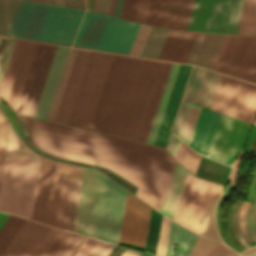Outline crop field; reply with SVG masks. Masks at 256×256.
Listing matches in <instances>:
<instances>
[{
    "label": "crop field",
    "mask_w": 256,
    "mask_h": 256,
    "mask_svg": "<svg viewBox=\"0 0 256 256\" xmlns=\"http://www.w3.org/2000/svg\"><path fill=\"white\" fill-rule=\"evenodd\" d=\"M179 65L180 64H176V63L172 64V67H171V70H170V73H169V76H168V79H167V82H166V85H165V88H164V91H163V94H162V97L160 100V103L158 105L151 129H150L147 141H146L149 144L154 143V140H155V137H156V134H157V131H158V128H159V125H160L170 92H171V89H172V86H173V83H174V80H175V77H176V74H177V71L179 68Z\"/></svg>",
    "instance_id": "obj_31"
},
{
    "label": "crop field",
    "mask_w": 256,
    "mask_h": 256,
    "mask_svg": "<svg viewBox=\"0 0 256 256\" xmlns=\"http://www.w3.org/2000/svg\"><path fill=\"white\" fill-rule=\"evenodd\" d=\"M82 170H83V168H81V167L76 166V168H75L71 198H70L66 227H65V229L71 230V231L73 229V223H74L77 199H78V194H79Z\"/></svg>",
    "instance_id": "obj_42"
},
{
    "label": "crop field",
    "mask_w": 256,
    "mask_h": 256,
    "mask_svg": "<svg viewBox=\"0 0 256 256\" xmlns=\"http://www.w3.org/2000/svg\"><path fill=\"white\" fill-rule=\"evenodd\" d=\"M210 109L251 122L256 110V85L222 75Z\"/></svg>",
    "instance_id": "obj_8"
},
{
    "label": "crop field",
    "mask_w": 256,
    "mask_h": 256,
    "mask_svg": "<svg viewBox=\"0 0 256 256\" xmlns=\"http://www.w3.org/2000/svg\"><path fill=\"white\" fill-rule=\"evenodd\" d=\"M35 43L15 41L3 79L0 96L15 110L35 48ZM3 99V100H4Z\"/></svg>",
    "instance_id": "obj_17"
},
{
    "label": "crop field",
    "mask_w": 256,
    "mask_h": 256,
    "mask_svg": "<svg viewBox=\"0 0 256 256\" xmlns=\"http://www.w3.org/2000/svg\"><path fill=\"white\" fill-rule=\"evenodd\" d=\"M201 179H196V181H195V184H194V186H193V189H192V191H191V194H190V196H189V199H188V201H187V204H186V206H185V209H184V211H183V214H182V216H181V219H180V223L181 224H184V222H185V219H186V217H187V215H188V212H189V210H190V207H191V205H192V202H193V200H194V198H195V195H196V193H197V190H198V188H199V186H200V183H201Z\"/></svg>",
    "instance_id": "obj_51"
},
{
    "label": "crop field",
    "mask_w": 256,
    "mask_h": 256,
    "mask_svg": "<svg viewBox=\"0 0 256 256\" xmlns=\"http://www.w3.org/2000/svg\"><path fill=\"white\" fill-rule=\"evenodd\" d=\"M256 154V153H255Z\"/></svg>",
    "instance_id": "obj_79"
},
{
    "label": "crop field",
    "mask_w": 256,
    "mask_h": 256,
    "mask_svg": "<svg viewBox=\"0 0 256 256\" xmlns=\"http://www.w3.org/2000/svg\"><path fill=\"white\" fill-rule=\"evenodd\" d=\"M249 126L248 123L220 114L207 156L231 166L243 146Z\"/></svg>",
    "instance_id": "obj_15"
},
{
    "label": "crop field",
    "mask_w": 256,
    "mask_h": 256,
    "mask_svg": "<svg viewBox=\"0 0 256 256\" xmlns=\"http://www.w3.org/2000/svg\"><path fill=\"white\" fill-rule=\"evenodd\" d=\"M97 240L87 238L80 249L74 256H88L94 246L97 244Z\"/></svg>",
    "instance_id": "obj_54"
},
{
    "label": "crop field",
    "mask_w": 256,
    "mask_h": 256,
    "mask_svg": "<svg viewBox=\"0 0 256 256\" xmlns=\"http://www.w3.org/2000/svg\"><path fill=\"white\" fill-rule=\"evenodd\" d=\"M32 1H38V2H44V3H46V0H32Z\"/></svg>",
    "instance_id": "obj_73"
},
{
    "label": "crop field",
    "mask_w": 256,
    "mask_h": 256,
    "mask_svg": "<svg viewBox=\"0 0 256 256\" xmlns=\"http://www.w3.org/2000/svg\"><path fill=\"white\" fill-rule=\"evenodd\" d=\"M151 26L141 24L128 54L139 56Z\"/></svg>",
    "instance_id": "obj_46"
},
{
    "label": "crop field",
    "mask_w": 256,
    "mask_h": 256,
    "mask_svg": "<svg viewBox=\"0 0 256 256\" xmlns=\"http://www.w3.org/2000/svg\"><path fill=\"white\" fill-rule=\"evenodd\" d=\"M76 50L77 49H73V48L69 49L67 59H66L61 77H60V81H59L55 96L53 98L50 110H49L47 118H46L48 120H52V121L54 120V117H55V114H56V111H57V108H58V105H59L64 87H65V83H66V80H67V77H68V74H69V71H70V68H71Z\"/></svg>",
    "instance_id": "obj_37"
},
{
    "label": "crop field",
    "mask_w": 256,
    "mask_h": 256,
    "mask_svg": "<svg viewBox=\"0 0 256 256\" xmlns=\"http://www.w3.org/2000/svg\"><path fill=\"white\" fill-rule=\"evenodd\" d=\"M230 249L219 242L207 256H224Z\"/></svg>",
    "instance_id": "obj_56"
},
{
    "label": "crop field",
    "mask_w": 256,
    "mask_h": 256,
    "mask_svg": "<svg viewBox=\"0 0 256 256\" xmlns=\"http://www.w3.org/2000/svg\"><path fill=\"white\" fill-rule=\"evenodd\" d=\"M61 231L27 220L0 256H43Z\"/></svg>",
    "instance_id": "obj_18"
},
{
    "label": "crop field",
    "mask_w": 256,
    "mask_h": 256,
    "mask_svg": "<svg viewBox=\"0 0 256 256\" xmlns=\"http://www.w3.org/2000/svg\"><path fill=\"white\" fill-rule=\"evenodd\" d=\"M149 0H139L134 21L144 23Z\"/></svg>",
    "instance_id": "obj_53"
},
{
    "label": "crop field",
    "mask_w": 256,
    "mask_h": 256,
    "mask_svg": "<svg viewBox=\"0 0 256 256\" xmlns=\"http://www.w3.org/2000/svg\"><path fill=\"white\" fill-rule=\"evenodd\" d=\"M154 60L136 58L111 133L128 137Z\"/></svg>",
    "instance_id": "obj_11"
},
{
    "label": "crop field",
    "mask_w": 256,
    "mask_h": 256,
    "mask_svg": "<svg viewBox=\"0 0 256 256\" xmlns=\"http://www.w3.org/2000/svg\"><path fill=\"white\" fill-rule=\"evenodd\" d=\"M117 0H112L109 15L113 16Z\"/></svg>",
    "instance_id": "obj_68"
},
{
    "label": "crop field",
    "mask_w": 256,
    "mask_h": 256,
    "mask_svg": "<svg viewBox=\"0 0 256 256\" xmlns=\"http://www.w3.org/2000/svg\"><path fill=\"white\" fill-rule=\"evenodd\" d=\"M127 191L105 178L96 239L118 243Z\"/></svg>",
    "instance_id": "obj_14"
},
{
    "label": "crop field",
    "mask_w": 256,
    "mask_h": 256,
    "mask_svg": "<svg viewBox=\"0 0 256 256\" xmlns=\"http://www.w3.org/2000/svg\"><path fill=\"white\" fill-rule=\"evenodd\" d=\"M204 72H205V69L194 66L189 83L187 85V88L183 97L184 100L194 103Z\"/></svg>",
    "instance_id": "obj_44"
},
{
    "label": "crop field",
    "mask_w": 256,
    "mask_h": 256,
    "mask_svg": "<svg viewBox=\"0 0 256 256\" xmlns=\"http://www.w3.org/2000/svg\"><path fill=\"white\" fill-rule=\"evenodd\" d=\"M218 241L198 236L189 256H205Z\"/></svg>",
    "instance_id": "obj_45"
},
{
    "label": "crop field",
    "mask_w": 256,
    "mask_h": 256,
    "mask_svg": "<svg viewBox=\"0 0 256 256\" xmlns=\"http://www.w3.org/2000/svg\"><path fill=\"white\" fill-rule=\"evenodd\" d=\"M113 55L93 52L69 125L89 128Z\"/></svg>",
    "instance_id": "obj_7"
},
{
    "label": "crop field",
    "mask_w": 256,
    "mask_h": 256,
    "mask_svg": "<svg viewBox=\"0 0 256 256\" xmlns=\"http://www.w3.org/2000/svg\"><path fill=\"white\" fill-rule=\"evenodd\" d=\"M191 66L180 65L156 140L154 144L164 147L177 106L179 104Z\"/></svg>",
    "instance_id": "obj_23"
},
{
    "label": "crop field",
    "mask_w": 256,
    "mask_h": 256,
    "mask_svg": "<svg viewBox=\"0 0 256 256\" xmlns=\"http://www.w3.org/2000/svg\"><path fill=\"white\" fill-rule=\"evenodd\" d=\"M40 159L9 125L0 177V210L30 219Z\"/></svg>",
    "instance_id": "obj_2"
},
{
    "label": "crop field",
    "mask_w": 256,
    "mask_h": 256,
    "mask_svg": "<svg viewBox=\"0 0 256 256\" xmlns=\"http://www.w3.org/2000/svg\"><path fill=\"white\" fill-rule=\"evenodd\" d=\"M235 252L231 249L225 256H232Z\"/></svg>",
    "instance_id": "obj_70"
},
{
    "label": "crop field",
    "mask_w": 256,
    "mask_h": 256,
    "mask_svg": "<svg viewBox=\"0 0 256 256\" xmlns=\"http://www.w3.org/2000/svg\"><path fill=\"white\" fill-rule=\"evenodd\" d=\"M200 106L193 104H187L179 131L177 136L180 137L184 142L189 144L199 111Z\"/></svg>",
    "instance_id": "obj_38"
},
{
    "label": "crop field",
    "mask_w": 256,
    "mask_h": 256,
    "mask_svg": "<svg viewBox=\"0 0 256 256\" xmlns=\"http://www.w3.org/2000/svg\"><path fill=\"white\" fill-rule=\"evenodd\" d=\"M197 33H198V32H194V33H193V35H192V37H191V39H190V41H189V44H188V46H187V48H186V50H185V53H184V55H183V57H182V59H181L180 62H183V63L186 62L187 57H188L189 52H190V49H191V47H192V44H193V42H194V39H195Z\"/></svg>",
    "instance_id": "obj_61"
},
{
    "label": "crop field",
    "mask_w": 256,
    "mask_h": 256,
    "mask_svg": "<svg viewBox=\"0 0 256 256\" xmlns=\"http://www.w3.org/2000/svg\"><path fill=\"white\" fill-rule=\"evenodd\" d=\"M64 6L85 10L84 0H63Z\"/></svg>",
    "instance_id": "obj_59"
},
{
    "label": "crop field",
    "mask_w": 256,
    "mask_h": 256,
    "mask_svg": "<svg viewBox=\"0 0 256 256\" xmlns=\"http://www.w3.org/2000/svg\"><path fill=\"white\" fill-rule=\"evenodd\" d=\"M218 113L201 108L189 146L195 151L205 155L217 118Z\"/></svg>",
    "instance_id": "obj_24"
},
{
    "label": "crop field",
    "mask_w": 256,
    "mask_h": 256,
    "mask_svg": "<svg viewBox=\"0 0 256 256\" xmlns=\"http://www.w3.org/2000/svg\"><path fill=\"white\" fill-rule=\"evenodd\" d=\"M180 141H181L180 139H178L175 135L171 133L166 148L170 152V154L173 156V158H175Z\"/></svg>",
    "instance_id": "obj_55"
},
{
    "label": "crop field",
    "mask_w": 256,
    "mask_h": 256,
    "mask_svg": "<svg viewBox=\"0 0 256 256\" xmlns=\"http://www.w3.org/2000/svg\"><path fill=\"white\" fill-rule=\"evenodd\" d=\"M83 236L63 230L45 256H69Z\"/></svg>",
    "instance_id": "obj_33"
},
{
    "label": "crop field",
    "mask_w": 256,
    "mask_h": 256,
    "mask_svg": "<svg viewBox=\"0 0 256 256\" xmlns=\"http://www.w3.org/2000/svg\"><path fill=\"white\" fill-rule=\"evenodd\" d=\"M192 33L171 30L158 59L179 62Z\"/></svg>",
    "instance_id": "obj_27"
},
{
    "label": "crop field",
    "mask_w": 256,
    "mask_h": 256,
    "mask_svg": "<svg viewBox=\"0 0 256 256\" xmlns=\"http://www.w3.org/2000/svg\"><path fill=\"white\" fill-rule=\"evenodd\" d=\"M186 104L187 103L184 102V101L181 102V105H180V108H179V111H178V114H177V117H176L173 129H172V132L175 133V134H177V131H178V128H179V125H180V122H181V119H182V116H183Z\"/></svg>",
    "instance_id": "obj_58"
},
{
    "label": "crop field",
    "mask_w": 256,
    "mask_h": 256,
    "mask_svg": "<svg viewBox=\"0 0 256 256\" xmlns=\"http://www.w3.org/2000/svg\"><path fill=\"white\" fill-rule=\"evenodd\" d=\"M113 247V245L99 241L89 256H107Z\"/></svg>",
    "instance_id": "obj_52"
},
{
    "label": "crop field",
    "mask_w": 256,
    "mask_h": 256,
    "mask_svg": "<svg viewBox=\"0 0 256 256\" xmlns=\"http://www.w3.org/2000/svg\"><path fill=\"white\" fill-rule=\"evenodd\" d=\"M170 222H171V219H169L165 216L162 217L160 235H159L157 252H156V254L159 256H165Z\"/></svg>",
    "instance_id": "obj_47"
},
{
    "label": "crop field",
    "mask_w": 256,
    "mask_h": 256,
    "mask_svg": "<svg viewBox=\"0 0 256 256\" xmlns=\"http://www.w3.org/2000/svg\"><path fill=\"white\" fill-rule=\"evenodd\" d=\"M233 256H239V255L235 253Z\"/></svg>",
    "instance_id": "obj_75"
},
{
    "label": "crop field",
    "mask_w": 256,
    "mask_h": 256,
    "mask_svg": "<svg viewBox=\"0 0 256 256\" xmlns=\"http://www.w3.org/2000/svg\"><path fill=\"white\" fill-rule=\"evenodd\" d=\"M255 207H256V205H255Z\"/></svg>",
    "instance_id": "obj_78"
},
{
    "label": "crop field",
    "mask_w": 256,
    "mask_h": 256,
    "mask_svg": "<svg viewBox=\"0 0 256 256\" xmlns=\"http://www.w3.org/2000/svg\"><path fill=\"white\" fill-rule=\"evenodd\" d=\"M88 3V0H86V4Z\"/></svg>",
    "instance_id": "obj_76"
},
{
    "label": "crop field",
    "mask_w": 256,
    "mask_h": 256,
    "mask_svg": "<svg viewBox=\"0 0 256 256\" xmlns=\"http://www.w3.org/2000/svg\"><path fill=\"white\" fill-rule=\"evenodd\" d=\"M226 34L199 32L186 63L212 68Z\"/></svg>",
    "instance_id": "obj_21"
},
{
    "label": "crop field",
    "mask_w": 256,
    "mask_h": 256,
    "mask_svg": "<svg viewBox=\"0 0 256 256\" xmlns=\"http://www.w3.org/2000/svg\"><path fill=\"white\" fill-rule=\"evenodd\" d=\"M237 33L256 36V0H245Z\"/></svg>",
    "instance_id": "obj_36"
},
{
    "label": "crop field",
    "mask_w": 256,
    "mask_h": 256,
    "mask_svg": "<svg viewBox=\"0 0 256 256\" xmlns=\"http://www.w3.org/2000/svg\"><path fill=\"white\" fill-rule=\"evenodd\" d=\"M20 1L0 0V35H7Z\"/></svg>",
    "instance_id": "obj_39"
},
{
    "label": "crop field",
    "mask_w": 256,
    "mask_h": 256,
    "mask_svg": "<svg viewBox=\"0 0 256 256\" xmlns=\"http://www.w3.org/2000/svg\"><path fill=\"white\" fill-rule=\"evenodd\" d=\"M56 4L63 6V1L62 0H56Z\"/></svg>",
    "instance_id": "obj_71"
},
{
    "label": "crop field",
    "mask_w": 256,
    "mask_h": 256,
    "mask_svg": "<svg viewBox=\"0 0 256 256\" xmlns=\"http://www.w3.org/2000/svg\"><path fill=\"white\" fill-rule=\"evenodd\" d=\"M64 164L41 159L32 220L54 226Z\"/></svg>",
    "instance_id": "obj_9"
},
{
    "label": "crop field",
    "mask_w": 256,
    "mask_h": 256,
    "mask_svg": "<svg viewBox=\"0 0 256 256\" xmlns=\"http://www.w3.org/2000/svg\"><path fill=\"white\" fill-rule=\"evenodd\" d=\"M17 116L36 147L110 169L138 187L136 196L160 210L177 165L166 149Z\"/></svg>",
    "instance_id": "obj_1"
},
{
    "label": "crop field",
    "mask_w": 256,
    "mask_h": 256,
    "mask_svg": "<svg viewBox=\"0 0 256 256\" xmlns=\"http://www.w3.org/2000/svg\"><path fill=\"white\" fill-rule=\"evenodd\" d=\"M122 0H118L114 16L118 17Z\"/></svg>",
    "instance_id": "obj_69"
},
{
    "label": "crop field",
    "mask_w": 256,
    "mask_h": 256,
    "mask_svg": "<svg viewBox=\"0 0 256 256\" xmlns=\"http://www.w3.org/2000/svg\"><path fill=\"white\" fill-rule=\"evenodd\" d=\"M97 1L98 0L95 1V5H94V9H93L94 12H95V9H96Z\"/></svg>",
    "instance_id": "obj_74"
},
{
    "label": "crop field",
    "mask_w": 256,
    "mask_h": 256,
    "mask_svg": "<svg viewBox=\"0 0 256 256\" xmlns=\"http://www.w3.org/2000/svg\"><path fill=\"white\" fill-rule=\"evenodd\" d=\"M229 35H230V34H227L226 37H225V40H224V42H223V44H222V47H221V49H220V52H219V54H218V56H217V59H216V61H215V64H214V66H213V68H212L213 70L215 69V67H216V65H217V62H218V60H219V58H220V55H221V53H222V51H223V49H224V46H225V44H226V42H227V39H228Z\"/></svg>",
    "instance_id": "obj_66"
},
{
    "label": "crop field",
    "mask_w": 256,
    "mask_h": 256,
    "mask_svg": "<svg viewBox=\"0 0 256 256\" xmlns=\"http://www.w3.org/2000/svg\"><path fill=\"white\" fill-rule=\"evenodd\" d=\"M137 3L138 0H123L119 17L133 21Z\"/></svg>",
    "instance_id": "obj_48"
},
{
    "label": "crop field",
    "mask_w": 256,
    "mask_h": 256,
    "mask_svg": "<svg viewBox=\"0 0 256 256\" xmlns=\"http://www.w3.org/2000/svg\"><path fill=\"white\" fill-rule=\"evenodd\" d=\"M14 40H15V39H12V40H11V43H10V46H9V48H8V51H7V54H6V57H5L3 66H2V68H1V71H0V81H1V78H2V75H3V72H4V69H5V66H6V64H7V61H8V58H9V55H10V52H11V49H12Z\"/></svg>",
    "instance_id": "obj_62"
},
{
    "label": "crop field",
    "mask_w": 256,
    "mask_h": 256,
    "mask_svg": "<svg viewBox=\"0 0 256 256\" xmlns=\"http://www.w3.org/2000/svg\"><path fill=\"white\" fill-rule=\"evenodd\" d=\"M195 179H196V177L193 176L192 174H190L188 182L186 184V187L184 189L183 195L181 197L180 203L178 205V208H177L175 216H174V219H176V220H179V218H180V215H181L182 210H183V208L185 206V203L187 201V198L189 196V193L191 191V188H192V186L194 184Z\"/></svg>",
    "instance_id": "obj_49"
},
{
    "label": "crop field",
    "mask_w": 256,
    "mask_h": 256,
    "mask_svg": "<svg viewBox=\"0 0 256 256\" xmlns=\"http://www.w3.org/2000/svg\"><path fill=\"white\" fill-rule=\"evenodd\" d=\"M10 40L11 39L9 38L0 37V68L3 63Z\"/></svg>",
    "instance_id": "obj_57"
},
{
    "label": "crop field",
    "mask_w": 256,
    "mask_h": 256,
    "mask_svg": "<svg viewBox=\"0 0 256 256\" xmlns=\"http://www.w3.org/2000/svg\"><path fill=\"white\" fill-rule=\"evenodd\" d=\"M172 63L154 61L129 137L146 141Z\"/></svg>",
    "instance_id": "obj_10"
},
{
    "label": "crop field",
    "mask_w": 256,
    "mask_h": 256,
    "mask_svg": "<svg viewBox=\"0 0 256 256\" xmlns=\"http://www.w3.org/2000/svg\"><path fill=\"white\" fill-rule=\"evenodd\" d=\"M151 208L127 194L120 241L143 246Z\"/></svg>",
    "instance_id": "obj_20"
},
{
    "label": "crop field",
    "mask_w": 256,
    "mask_h": 256,
    "mask_svg": "<svg viewBox=\"0 0 256 256\" xmlns=\"http://www.w3.org/2000/svg\"><path fill=\"white\" fill-rule=\"evenodd\" d=\"M255 133H256V126L253 125V126H252V129H251V131H250L249 137H248V139H247V142H246L244 151H249L250 144H251V141H252V139H253Z\"/></svg>",
    "instance_id": "obj_63"
},
{
    "label": "crop field",
    "mask_w": 256,
    "mask_h": 256,
    "mask_svg": "<svg viewBox=\"0 0 256 256\" xmlns=\"http://www.w3.org/2000/svg\"><path fill=\"white\" fill-rule=\"evenodd\" d=\"M222 190V185L220 184H215V187L213 189L211 198L209 200L208 206L206 208L204 217L202 219V222L200 224V227L197 231L198 234L207 236L213 239L220 240L219 235L217 233L215 224H214V219H213V208L218 200ZM222 195V194H221ZM221 241V240H220Z\"/></svg>",
    "instance_id": "obj_32"
},
{
    "label": "crop field",
    "mask_w": 256,
    "mask_h": 256,
    "mask_svg": "<svg viewBox=\"0 0 256 256\" xmlns=\"http://www.w3.org/2000/svg\"><path fill=\"white\" fill-rule=\"evenodd\" d=\"M67 47H57L46 82L33 117L45 119L54 96L59 77L68 52Z\"/></svg>",
    "instance_id": "obj_22"
},
{
    "label": "crop field",
    "mask_w": 256,
    "mask_h": 256,
    "mask_svg": "<svg viewBox=\"0 0 256 256\" xmlns=\"http://www.w3.org/2000/svg\"><path fill=\"white\" fill-rule=\"evenodd\" d=\"M134 59L133 57L114 55L89 129L110 133Z\"/></svg>",
    "instance_id": "obj_5"
},
{
    "label": "crop field",
    "mask_w": 256,
    "mask_h": 256,
    "mask_svg": "<svg viewBox=\"0 0 256 256\" xmlns=\"http://www.w3.org/2000/svg\"><path fill=\"white\" fill-rule=\"evenodd\" d=\"M140 254L141 252L126 248L121 256H140Z\"/></svg>",
    "instance_id": "obj_65"
},
{
    "label": "crop field",
    "mask_w": 256,
    "mask_h": 256,
    "mask_svg": "<svg viewBox=\"0 0 256 256\" xmlns=\"http://www.w3.org/2000/svg\"><path fill=\"white\" fill-rule=\"evenodd\" d=\"M244 0H194L187 30L236 33Z\"/></svg>",
    "instance_id": "obj_6"
},
{
    "label": "crop field",
    "mask_w": 256,
    "mask_h": 256,
    "mask_svg": "<svg viewBox=\"0 0 256 256\" xmlns=\"http://www.w3.org/2000/svg\"><path fill=\"white\" fill-rule=\"evenodd\" d=\"M169 29L153 26L140 56L157 59Z\"/></svg>",
    "instance_id": "obj_35"
},
{
    "label": "crop field",
    "mask_w": 256,
    "mask_h": 256,
    "mask_svg": "<svg viewBox=\"0 0 256 256\" xmlns=\"http://www.w3.org/2000/svg\"><path fill=\"white\" fill-rule=\"evenodd\" d=\"M215 183L202 181L201 186L198 190L194 203L191 207L189 215L184 224L185 227H188L193 232L196 233L198 225L200 223L201 217L203 215L204 209L210 197L211 191Z\"/></svg>",
    "instance_id": "obj_28"
},
{
    "label": "crop field",
    "mask_w": 256,
    "mask_h": 256,
    "mask_svg": "<svg viewBox=\"0 0 256 256\" xmlns=\"http://www.w3.org/2000/svg\"><path fill=\"white\" fill-rule=\"evenodd\" d=\"M110 1L111 0H99L96 12L107 15Z\"/></svg>",
    "instance_id": "obj_60"
},
{
    "label": "crop field",
    "mask_w": 256,
    "mask_h": 256,
    "mask_svg": "<svg viewBox=\"0 0 256 256\" xmlns=\"http://www.w3.org/2000/svg\"><path fill=\"white\" fill-rule=\"evenodd\" d=\"M93 51L78 49L66 87L55 117V122L69 124Z\"/></svg>",
    "instance_id": "obj_19"
},
{
    "label": "crop field",
    "mask_w": 256,
    "mask_h": 256,
    "mask_svg": "<svg viewBox=\"0 0 256 256\" xmlns=\"http://www.w3.org/2000/svg\"><path fill=\"white\" fill-rule=\"evenodd\" d=\"M193 0H170L164 27L187 28Z\"/></svg>",
    "instance_id": "obj_29"
},
{
    "label": "crop field",
    "mask_w": 256,
    "mask_h": 256,
    "mask_svg": "<svg viewBox=\"0 0 256 256\" xmlns=\"http://www.w3.org/2000/svg\"><path fill=\"white\" fill-rule=\"evenodd\" d=\"M56 47L38 44L15 113L33 116Z\"/></svg>",
    "instance_id": "obj_16"
},
{
    "label": "crop field",
    "mask_w": 256,
    "mask_h": 256,
    "mask_svg": "<svg viewBox=\"0 0 256 256\" xmlns=\"http://www.w3.org/2000/svg\"><path fill=\"white\" fill-rule=\"evenodd\" d=\"M26 219L19 218L11 215L7 222L0 230V254L16 235L22 225L25 223Z\"/></svg>",
    "instance_id": "obj_41"
},
{
    "label": "crop field",
    "mask_w": 256,
    "mask_h": 256,
    "mask_svg": "<svg viewBox=\"0 0 256 256\" xmlns=\"http://www.w3.org/2000/svg\"><path fill=\"white\" fill-rule=\"evenodd\" d=\"M220 74L206 70L197 99L196 104L209 109L214 93L216 91Z\"/></svg>",
    "instance_id": "obj_34"
},
{
    "label": "crop field",
    "mask_w": 256,
    "mask_h": 256,
    "mask_svg": "<svg viewBox=\"0 0 256 256\" xmlns=\"http://www.w3.org/2000/svg\"><path fill=\"white\" fill-rule=\"evenodd\" d=\"M9 216H10V214H6V213H3V212H0V228L3 226V224L9 218Z\"/></svg>",
    "instance_id": "obj_67"
},
{
    "label": "crop field",
    "mask_w": 256,
    "mask_h": 256,
    "mask_svg": "<svg viewBox=\"0 0 256 256\" xmlns=\"http://www.w3.org/2000/svg\"><path fill=\"white\" fill-rule=\"evenodd\" d=\"M8 125H9L8 120L0 110V160H2L3 158ZM1 163L2 161H0V169H1Z\"/></svg>",
    "instance_id": "obj_50"
},
{
    "label": "crop field",
    "mask_w": 256,
    "mask_h": 256,
    "mask_svg": "<svg viewBox=\"0 0 256 256\" xmlns=\"http://www.w3.org/2000/svg\"><path fill=\"white\" fill-rule=\"evenodd\" d=\"M200 156V154L194 152L186 144L181 142L175 160L191 173L195 174Z\"/></svg>",
    "instance_id": "obj_43"
},
{
    "label": "crop field",
    "mask_w": 256,
    "mask_h": 256,
    "mask_svg": "<svg viewBox=\"0 0 256 256\" xmlns=\"http://www.w3.org/2000/svg\"><path fill=\"white\" fill-rule=\"evenodd\" d=\"M215 70L256 82V37L231 34Z\"/></svg>",
    "instance_id": "obj_13"
},
{
    "label": "crop field",
    "mask_w": 256,
    "mask_h": 256,
    "mask_svg": "<svg viewBox=\"0 0 256 256\" xmlns=\"http://www.w3.org/2000/svg\"><path fill=\"white\" fill-rule=\"evenodd\" d=\"M139 25L87 12L72 46L127 54Z\"/></svg>",
    "instance_id": "obj_4"
},
{
    "label": "crop field",
    "mask_w": 256,
    "mask_h": 256,
    "mask_svg": "<svg viewBox=\"0 0 256 256\" xmlns=\"http://www.w3.org/2000/svg\"><path fill=\"white\" fill-rule=\"evenodd\" d=\"M75 166L65 164L55 226L65 227Z\"/></svg>",
    "instance_id": "obj_30"
},
{
    "label": "crop field",
    "mask_w": 256,
    "mask_h": 256,
    "mask_svg": "<svg viewBox=\"0 0 256 256\" xmlns=\"http://www.w3.org/2000/svg\"><path fill=\"white\" fill-rule=\"evenodd\" d=\"M105 175L84 168L74 232L94 238Z\"/></svg>",
    "instance_id": "obj_12"
},
{
    "label": "crop field",
    "mask_w": 256,
    "mask_h": 256,
    "mask_svg": "<svg viewBox=\"0 0 256 256\" xmlns=\"http://www.w3.org/2000/svg\"><path fill=\"white\" fill-rule=\"evenodd\" d=\"M197 236L198 235L172 221L166 256L171 255L176 241V250L172 256H188Z\"/></svg>",
    "instance_id": "obj_25"
},
{
    "label": "crop field",
    "mask_w": 256,
    "mask_h": 256,
    "mask_svg": "<svg viewBox=\"0 0 256 256\" xmlns=\"http://www.w3.org/2000/svg\"><path fill=\"white\" fill-rule=\"evenodd\" d=\"M254 124H256V120L254 121Z\"/></svg>",
    "instance_id": "obj_77"
},
{
    "label": "crop field",
    "mask_w": 256,
    "mask_h": 256,
    "mask_svg": "<svg viewBox=\"0 0 256 256\" xmlns=\"http://www.w3.org/2000/svg\"><path fill=\"white\" fill-rule=\"evenodd\" d=\"M190 172L177 165L160 212L173 217Z\"/></svg>",
    "instance_id": "obj_26"
},
{
    "label": "crop field",
    "mask_w": 256,
    "mask_h": 256,
    "mask_svg": "<svg viewBox=\"0 0 256 256\" xmlns=\"http://www.w3.org/2000/svg\"><path fill=\"white\" fill-rule=\"evenodd\" d=\"M47 3L55 4V0H47Z\"/></svg>",
    "instance_id": "obj_72"
},
{
    "label": "crop field",
    "mask_w": 256,
    "mask_h": 256,
    "mask_svg": "<svg viewBox=\"0 0 256 256\" xmlns=\"http://www.w3.org/2000/svg\"><path fill=\"white\" fill-rule=\"evenodd\" d=\"M83 13L22 0L7 36L70 46Z\"/></svg>",
    "instance_id": "obj_3"
},
{
    "label": "crop field",
    "mask_w": 256,
    "mask_h": 256,
    "mask_svg": "<svg viewBox=\"0 0 256 256\" xmlns=\"http://www.w3.org/2000/svg\"><path fill=\"white\" fill-rule=\"evenodd\" d=\"M242 256H256V245L239 252Z\"/></svg>",
    "instance_id": "obj_64"
},
{
    "label": "crop field",
    "mask_w": 256,
    "mask_h": 256,
    "mask_svg": "<svg viewBox=\"0 0 256 256\" xmlns=\"http://www.w3.org/2000/svg\"><path fill=\"white\" fill-rule=\"evenodd\" d=\"M169 0H150L145 23L163 27Z\"/></svg>",
    "instance_id": "obj_40"
}]
</instances>
